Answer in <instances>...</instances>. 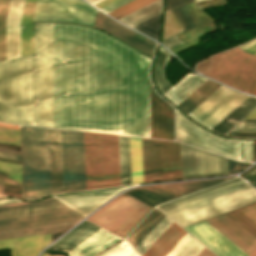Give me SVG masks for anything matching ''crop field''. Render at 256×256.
Wrapping results in <instances>:
<instances>
[{"label": "crop field", "instance_id": "crop-field-15", "mask_svg": "<svg viewBox=\"0 0 256 256\" xmlns=\"http://www.w3.org/2000/svg\"><path fill=\"white\" fill-rule=\"evenodd\" d=\"M184 230L218 256H248L205 221Z\"/></svg>", "mask_w": 256, "mask_h": 256}, {"label": "crop field", "instance_id": "crop-field-27", "mask_svg": "<svg viewBox=\"0 0 256 256\" xmlns=\"http://www.w3.org/2000/svg\"><path fill=\"white\" fill-rule=\"evenodd\" d=\"M205 81L195 74H188L164 95L177 105Z\"/></svg>", "mask_w": 256, "mask_h": 256}, {"label": "crop field", "instance_id": "crop-field-44", "mask_svg": "<svg viewBox=\"0 0 256 256\" xmlns=\"http://www.w3.org/2000/svg\"><path fill=\"white\" fill-rule=\"evenodd\" d=\"M71 227H73V226L62 227V228H53V229H45V230H37V231H30V232H22V233L10 234V235H4V236H0V240L16 238V237H22V236H29V235H38V234L62 232V231L69 230Z\"/></svg>", "mask_w": 256, "mask_h": 256}, {"label": "crop field", "instance_id": "crop-field-68", "mask_svg": "<svg viewBox=\"0 0 256 256\" xmlns=\"http://www.w3.org/2000/svg\"><path fill=\"white\" fill-rule=\"evenodd\" d=\"M256 158V141H253V160Z\"/></svg>", "mask_w": 256, "mask_h": 256}, {"label": "crop field", "instance_id": "crop-field-54", "mask_svg": "<svg viewBox=\"0 0 256 256\" xmlns=\"http://www.w3.org/2000/svg\"><path fill=\"white\" fill-rule=\"evenodd\" d=\"M193 1L194 0H165V3H166V8H170V7L182 5V4L193 2Z\"/></svg>", "mask_w": 256, "mask_h": 256}, {"label": "crop field", "instance_id": "crop-field-41", "mask_svg": "<svg viewBox=\"0 0 256 256\" xmlns=\"http://www.w3.org/2000/svg\"><path fill=\"white\" fill-rule=\"evenodd\" d=\"M152 1H154V0H134L118 9L108 13V15L118 19V18L152 2Z\"/></svg>", "mask_w": 256, "mask_h": 256}, {"label": "crop field", "instance_id": "crop-field-46", "mask_svg": "<svg viewBox=\"0 0 256 256\" xmlns=\"http://www.w3.org/2000/svg\"><path fill=\"white\" fill-rule=\"evenodd\" d=\"M203 247V245L193 238L177 256H196Z\"/></svg>", "mask_w": 256, "mask_h": 256}, {"label": "crop field", "instance_id": "crop-field-4", "mask_svg": "<svg viewBox=\"0 0 256 256\" xmlns=\"http://www.w3.org/2000/svg\"><path fill=\"white\" fill-rule=\"evenodd\" d=\"M26 199L50 194L47 129L21 127Z\"/></svg>", "mask_w": 256, "mask_h": 256}, {"label": "crop field", "instance_id": "crop-field-24", "mask_svg": "<svg viewBox=\"0 0 256 256\" xmlns=\"http://www.w3.org/2000/svg\"><path fill=\"white\" fill-rule=\"evenodd\" d=\"M37 0H25L20 22L21 56L33 54V18Z\"/></svg>", "mask_w": 256, "mask_h": 256}, {"label": "crop field", "instance_id": "crop-field-1", "mask_svg": "<svg viewBox=\"0 0 256 256\" xmlns=\"http://www.w3.org/2000/svg\"><path fill=\"white\" fill-rule=\"evenodd\" d=\"M52 40L55 128L149 137L151 59L80 25L52 23ZM52 40L35 23V59L0 61L1 121L54 128Z\"/></svg>", "mask_w": 256, "mask_h": 256}, {"label": "crop field", "instance_id": "crop-field-20", "mask_svg": "<svg viewBox=\"0 0 256 256\" xmlns=\"http://www.w3.org/2000/svg\"><path fill=\"white\" fill-rule=\"evenodd\" d=\"M51 194L63 192L60 130L48 129Z\"/></svg>", "mask_w": 256, "mask_h": 256}, {"label": "crop field", "instance_id": "crop-field-60", "mask_svg": "<svg viewBox=\"0 0 256 256\" xmlns=\"http://www.w3.org/2000/svg\"><path fill=\"white\" fill-rule=\"evenodd\" d=\"M161 10H162V9H160V10H158V11H156V12H154V13H152V14H150V15H148V16H146V17H144V18H142V19H140V20H138V21H136V22H134V23L128 25V26L132 27V26H134V25H136V24H138V23H140V22H142V21H144V20H146V19H148V18H150V17H152V16H154V15L160 13Z\"/></svg>", "mask_w": 256, "mask_h": 256}, {"label": "crop field", "instance_id": "crop-field-11", "mask_svg": "<svg viewBox=\"0 0 256 256\" xmlns=\"http://www.w3.org/2000/svg\"><path fill=\"white\" fill-rule=\"evenodd\" d=\"M96 9L82 0H38L34 20L77 22L93 26Z\"/></svg>", "mask_w": 256, "mask_h": 256}, {"label": "crop field", "instance_id": "crop-field-14", "mask_svg": "<svg viewBox=\"0 0 256 256\" xmlns=\"http://www.w3.org/2000/svg\"><path fill=\"white\" fill-rule=\"evenodd\" d=\"M150 137L174 140L173 108L163 101L149 82Z\"/></svg>", "mask_w": 256, "mask_h": 256}, {"label": "crop field", "instance_id": "crop-field-21", "mask_svg": "<svg viewBox=\"0 0 256 256\" xmlns=\"http://www.w3.org/2000/svg\"><path fill=\"white\" fill-rule=\"evenodd\" d=\"M162 180L182 178L180 144L160 140Z\"/></svg>", "mask_w": 256, "mask_h": 256}, {"label": "crop field", "instance_id": "crop-field-5", "mask_svg": "<svg viewBox=\"0 0 256 256\" xmlns=\"http://www.w3.org/2000/svg\"><path fill=\"white\" fill-rule=\"evenodd\" d=\"M87 189L120 185L118 136L83 133Z\"/></svg>", "mask_w": 256, "mask_h": 256}, {"label": "crop field", "instance_id": "crop-field-35", "mask_svg": "<svg viewBox=\"0 0 256 256\" xmlns=\"http://www.w3.org/2000/svg\"><path fill=\"white\" fill-rule=\"evenodd\" d=\"M167 217V216H166ZM165 216L158 224L143 238V240L135 247L142 255L146 249L156 240V238L167 228L172 222Z\"/></svg>", "mask_w": 256, "mask_h": 256}, {"label": "crop field", "instance_id": "crop-field-12", "mask_svg": "<svg viewBox=\"0 0 256 256\" xmlns=\"http://www.w3.org/2000/svg\"><path fill=\"white\" fill-rule=\"evenodd\" d=\"M247 97L221 86L188 115L211 129Z\"/></svg>", "mask_w": 256, "mask_h": 256}, {"label": "crop field", "instance_id": "crop-field-37", "mask_svg": "<svg viewBox=\"0 0 256 256\" xmlns=\"http://www.w3.org/2000/svg\"><path fill=\"white\" fill-rule=\"evenodd\" d=\"M185 31L184 27L175 18L169 9L165 10V23L162 40Z\"/></svg>", "mask_w": 256, "mask_h": 256}, {"label": "crop field", "instance_id": "crop-field-59", "mask_svg": "<svg viewBox=\"0 0 256 256\" xmlns=\"http://www.w3.org/2000/svg\"><path fill=\"white\" fill-rule=\"evenodd\" d=\"M0 157L20 161V155L0 152Z\"/></svg>", "mask_w": 256, "mask_h": 256}, {"label": "crop field", "instance_id": "crop-field-8", "mask_svg": "<svg viewBox=\"0 0 256 256\" xmlns=\"http://www.w3.org/2000/svg\"><path fill=\"white\" fill-rule=\"evenodd\" d=\"M99 227L84 221L67 235L63 236L47 250L69 251ZM118 236L100 228L71 251L68 256H94L113 243L120 240Z\"/></svg>", "mask_w": 256, "mask_h": 256}, {"label": "crop field", "instance_id": "crop-field-64", "mask_svg": "<svg viewBox=\"0 0 256 256\" xmlns=\"http://www.w3.org/2000/svg\"><path fill=\"white\" fill-rule=\"evenodd\" d=\"M245 51L249 52V53H252V54H255L256 52V43L253 44L251 47H249L248 49H246Z\"/></svg>", "mask_w": 256, "mask_h": 256}, {"label": "crop field", "instance_id": "crop-field-55", "mask_svg": "<svg viewBox=\"0 0 256 256\" xmlns=\"http://www.w3.org/2000/svg\"><path fill=\"white\" fill-rule=\"evenodd\" d=\"M172 13L176 16V18L181 22V24L185 27L186 30L190 29L185 19L183 18L181 12L178 7L171 9Z\"/></svg>", "mask_w": 256, "mask_h": 256}, {"label": "crop field", "instance_id": "crop-field-76", "mask_svg": "<svg viewBox=\"0 0 256 256\" xmlns=\"http://www.w3.org/2000/svg\"><path fill=\"white\" fill-rule=\"evenodd\" d=\"M1 188H2V185H0V197H7L6 195L1 193Z\"/></svg>", "mask_w": 256, "mask_h": 256}, {"label": "crop field", "instance_id": "crop-field-61", "mask_svg": "<svg viewBox=\"0 0 256 256\" xmlns=\"http://www.w3.org/2000/svg\"><path fill=\"white\" fill-rule=\"evenodd\" d=\"M115 1H117V0H104V1L96 4L95 6H97V7H99L101 9V8L107 6V5H109V4H111V3L115 2Z\"/></svg>", "mask_w": 256, "mask_h": 256}, {"label": "crop field", "instance_id": "crop-field-40", "mask_svg": "<svg viewBox=\"0 0 256 256\" xmlns=\"http://www.w3.org/2000/svg\"><path fill=\"white\" fill-rule=\"evenodd\" d=\"M99 256H138L129 243L124 240Z\"/></svg>", "mask_w": 256, "mask_h": 256}, {"label": "crop field", "instance_id": "crop-field-34", "mask_svg": "<svg viewBox=\"0 0 256 256\" xmlns=\"http://www.w3.org/2000/svg\"><path fill=\"white\" fill-rule=\"evenodd\" d=\"M229 178H231V177H229ZM229 178L164 184V186L184 195V194H187V193L196 191L198 189L213 185L215 183L221 182V181L229 179Z\"/></svg>", "mask_w": 256, "mask_h": 256}, {"label": "crop field", "instance_id": "crop-field-19", "mask_svg": "<svg viewBox=\"0 0 256 256\" xmlns=\"http://www.w3.org/2000/svg\"><path fill=\"white\" fill-rule=\"evenodd\" d=\"M24 0H11L6 21V59L20 56L19 22Z\"/></svg>", "mask_w": 256, "mask_h": 256}, {"label": "crop field", "instance_id": "crop-field-10", "mask_svg": "<svg viewBox=\"0 0 256 256\" xmlns=\"http://www.w3.org/2000/svg\"><path fill=\"white\" fill-rule=\"evenodd\" d=\"M64 192L86 189L82 133L61 130Z\"/></svg>", "mask_w": 256, "mask_h": 256}, {"label": "crop field", "instance_id": "crop-field-69", "mask_svg": "<svg viewBox=\"0 0 256 256\" xmlns=\"http://www.w3.org/2000/svg\"><path fill=\"white\" fill-rule=\"evenodd\" d=\"M248 183L251 184L254 188H256V176L252 178Z\"/></svg>", "mask_w": 256, "mask_h": 256}, {"label": "crop field", "instance_id": "crop-field-63", "mask_svg": "<svg viewBox=\"0 0 256 256\" xmlns=\"http://www.w3.org/2000/svg\"><path fill=\"white\" fill-rule=\"evenodd\" d=\"M0 127H6V128H11V129H17V130H19V126L10 125V124H5V123H0Z\"/></svg>", "mask_w": 256, "mask_h": 256}, {"label": "crop field", "instance_id": "crop-field-45", "mask_svg": "<svg viewBox=\"0 0 256 256\" xmlns=\"http://www.w3.org/2000/svg\"><path fill=\"white\" fill-rule=\"evenodd\" d=\"M0 143L20 145L19 131L0 128Z\"/></svg>", "mask_w": 256, "mask_h": 256}, {"label": "crop field", "instance_id": "crop-field-3", "mask_svg": "<svg viewBox=\"0 0 256 256\" xmlns=\"http://www.w3.org/2000/svg\"><path fill=\"white\" fill-rule=\"evenodd\" d=\"M81 215L55 199L0 206V235L75 225Z\"/></svg>", "mask_w": 256, "mask_h": 256}, {"label": "crop field", "instance_id": "crop-field-62", "mask_svg": "<svg viewBox=\"0 0 256 256\" xmlns=\"http://www.w3.org/2000/svg\"><path fill=\"white\" fill-rule=\"evenodd\" d=\"M197 256H215L213 255L209 250H207L205 247L199 252Z\"/></svg>", "mask_w": 256, "mask_h": 256}, {"label": "crop field", "instance_id": "crop-field-52", "mask_svg": "<svg viewBox=\"0 0 256 256\" xmlns=\"http://www.w3.org/2000/svg\"><path fill=\"white\" fill-rule=\"evenodd\" d=\"M191 5H192L200 23L210 21V20H214L209 15H207V14L201 12V11H198V9L196 8L194 3H192Z\"/></svg>", "mask_w": 256, "mask_h": 256}, {"label": "crop field", "instance_id": "crop-field-36", "mask_svg": "<svg viewBox=\"0 0 256 256\" xmlns=\"http://www.w3.org/2000/svg\"><path fill=\"white\" fill-rule=\"evenodd\" d=\"M160 22H161V13L132 28L158 40Z\"/></svg>", "mask_w": 256, "mask_h": 256}, {"label": "crop field", "instance_id": "crop-field-30", "mask_svg": "<svg viewBox=\"0 0 256 256\" xmlns=\"http://www.w3.org/2000/svg\"><path fill=\"white\" fill-rule=\"evenodd\" d=\"M170 57L171 55L160 47L153 66V76L155 83L162 94H164L172 87V85L165 78V68L169 62Z\"/></svg>", "mask_w": 256, "mask_h": 256}, {"label": "crop field", "instance_id": "crop-field-77", "mask_svg": "<svg viewBox=\"0 0 256 256\" xmlns=\"http://www.w3.org/2000/svg\"><path fill=\"white\" fill-rule=\"evenodd\" d=\"M250 256H256V248L254 249V251L252 252V254Z\"/></svg>", "mask_w": 256, "mask_h": 256}, {"label": "crop field", "instance_id": "crop-field-43", "mask_svg": "<svg viewBox=\"0 0 256 256\" xmlns=\"http://www.w3.org/2000/svg\"><path fill=\"white\" fill-rule=\"evenodd\" d=\"M0 170L9 174L8 178H11L21 183V165L14 163L0 162Z\"/></svg>", "mask_w": 256, "mask_h": 256}, {"label": "crop field", "instance_id": "crop-field-17", "mask_svg": "<svg viewBox=\"0 0 256 256\" xmlns=\"http://www.w3.org/2000/svg\"><path fill=\"white\" fill-rule=\"evenodd\" d=\"M95 27L120 38L121 40L135 47L136 49L144 52L149 56H152L155 45L154 42L126 29L122 25L111 20L100 12H98L97 14Z\"/></svg>", "mask_w": 256, "mask_h": 256}, {"label": "crop field", "instance_id": "crop-field-66", "mask_svg": "<svg viewBox=\"0 0 256 256\" xmlns=\"http://www.w3.org/2000/svg\"><path fill=\"white\" fill-rule=\"evenodd\" d=\"M15 201H20V200H17V199H3V200H0V205L15 202Z\"/></svg>", "mask_w": 256, "mask_h": 256}, {"label": "crop field", "instance_id": "crop-field-72", "mask_svg": "<svg viewBox=\"0 0 256 256\" xmlns=\"http://www.w3.org/2000/svg\"><path fill=\"white\" fill-rule=\"evenodd\" d=\"M246 118H256V109L251 112Z\"/></svg>", "mask_w": 256, "mask_h": 256}, {"label": "crop field", "instance_id": "crop-field-78", "mask_svg": "<svg viewBox=\"0 0 256 256\" xmlns=\"http://www.w3.org/2000/svg\"><path fill=\"white\" fill-rule=\"evenodd\" d=\"M0 178H1V179H8V178L2 177V176H0ZM9 180H10V179H9Z\"/></svg>", "mask_w": 256, "mask_h": 256}, {"label": "crop field", "instance_id": "crop-field-7", "mask_svg": "<svg viewBox=\"0 0 256 256\" xmlns=\"http://www.w3.org/2000/svg\"><path fill=\"white\" fill-rule=\"evenodd\" d=\"M150 209L151 207L123 193L88 219L124 237Z\"/></svg>", "mask_w": 256, "mask_h": 256}, {"label": "crop field", "instance_id": "crop-field-57", "mask_svg": "<svg viewBox=\"0 0 256 256\" xmlns=\"http://www.w3.org/2000/svg\"><path fill=\"white\" fill-rule=\"evenodd\" d=\"M161 43H163L168 49H170L182 42L174 36V37L169 38Z\"/></svg>", "mask_w": 256, "mask_h": 256}, {"label": "crop field", "instance_id": "crop-field-2", "mask_svg": "<svg viewBox=\"0 0 256 256\" xmlns=\"http://www.w3.org/2000/svg\"><path fill=\"white\" fill-rule=\"evenodd\" d=\"M256 201V191L240 178L158 207L186 227Z\"/></svg>", "mask_w": 256, "mask_h": 256}, {"label": "crop field", "instance_id": "crop-field-33", "mask_svg": "<svg viewBox=\"0 0 256 256\" xmlns=\"http://www.w3.org/2000/svg\"><path fill=\"white\" fill-rule=\"evenodd\" d=\"M121 185L131 184L129 137L119 136Z\"/></svg>", "mask_w": 256, "mask_h": 256}, {"label": "crop field", "instance_id": "crop-field-13", "mask_svg": "<svg viewBox=\"0 0 256 256\" xmlns=\"http://www.w3.org/2000/svg\"><path fill=\"white\" fill-rule=\"evenodd\" d=\"M183 178L227 173V158L181 144Z\"/></svg>", "mask_w": 256, "mask_h": 256}, {"label": "crop field", "instance_id": "crop-field-75", "mask_svg": "<svg viewBox=\"0 0 256 256\" xmlns=\"http://www.w3.org/2000/svg\"><path fill=\"white\" fill-rule=\"evenodd\" d=\"M42 256H63V255H50L43 252Z\"/></svg>", "mask_w": 256, "mask_h": 256}, {"label": "crop field", "instance_id": "crop-field-53", "mask_svg": "<svg viewBox=\"0 0 256 256\" xmlns=\"http://www.w3.org/2000/svg\"><path fill=\"white\" fill-rule=\"evenodd\" d=\"M130 1H132V0H119V1H117V2L107 6V7L103 8V9H101V10L106 12V13H108V12H110V11H112V10H114V9H116V8L126 4L128 2H130Z\"/></svg>", "mask_w": 256, "mask_h": 256}, {"label": "crop field", "instance_id": "crop-field-48", "mask_svg": "<svg viewBox=\"0 0 256 256\" xmlns=\"http://www.w3.org/2000/svg\"><path fill=\"white\" fill-rule=\"evenodd\" d=\"M232 130H250L256 131V119H243Z\"/></svg>", "mask_w": 256, "mask_h": 256}, {"label": "crop field", "instance_id": "crop-field-16", "mask_svg": "<svg viewBox=\"0 0 256 256\" xmlns=\"http://www.w3.org/2000/svg\"><path fill=\"white\" fill-rule=\"evenodd\" d=\"M126 188L128 187L56 195L54 197L86 217L111 197L115 196Z\"/></svg>", "mask_w": 256, "mask_h": 256}, {"label": "crop field", "instance_id": "crop-field-67", "mask_svg": "<svg viewBox=\"0 0 256 256\" xmlns=\"http://www.w3.org/2000/svg\"><path fill=\"white\" fill-rule=\"evenodd\" d=\"M0 151H5V152H11V153H17V154H20V151L11 150V149H3V148H0Z\"/></svg>", "mask_w": 256, "mask_h": 256}, {"label": "crop field", "instance_id": "crop-field-39", "mask_svg": "<svg viewBox=\"0 0 256 256\" xmlns=\"http://www.w3.org/2000/svg\"><path fill=\"white\" fill-rule=\"evenodd\" d=\"M10 0H0V60L5 59V21Z\"/></svg>", "mask_w": 256, "mask_h": 256}, {"label": "crop field", "instance_id": "crop-field-79", "mask_svg": "<svg viewBox=\"0 0 256 256\" xmlns=\"http://www.w3.org/2000/svg\"><path fill=\"white\" fill-rule=\"evenodd\" d=\"M255 95H256V90H255V93H254Z\"/></svg>", "mask_w": 256, "mask_h": 256}, {"label": "crop field", "instance_id": "crop-field-74", "mask_svg": "<svg viewBox=\"0 0 256 256\" xmlns=\"http://www.w3.org/2000/svg\"><path fill=\"white\" fill-rule=\"evenodd\" d=\"M90 3H92L93 5L102 1V0H88Z\"/></svg>", "mask_w": 256, "mask_h": 256}, {"label": "crop field", "instance_id": "crop-field-9", "mask_svg": "<svg viewBox=\"0 0 256 256\" xmlns=\"http://www.w3.org/2000/svg\"><path fill=\"white\" fill-rule=\"evenodd\" d=\"M176 139L223 156L241 160L240 140L219 137L193 125L175 110ZM179 141V142H180ZM194 146V147H195Z\"/></svg>", "mask_w": 256, "mask_h": 256}, {"label": "crop field", "instance_id": "crop-field-70", "mask_svg": "<svg viewBox=\"0 0 256 256\" xmlns=\"http://www.w3.org/2000/svg\"><path fill=\"white\" fill-rule=\"evenodd\" d=\"M0 183H7V184L19 185V184H17V183H15V182H13V181H9V180H1V179H0Z\"/></svg>", "mask_w": 256, "mask_h": 256}, {"label": "crop field", "instance_id": "crop-field-65", "mask_svg": "<svg viewBox=\"0 0 256 256\" xmlns=\"http://www.w3.org/2000/svg\"><path fill=\"white\" fill-rule=\"evenodd\" d=\"M9 248L8 240L0 241V249Z\"/></svg>", "mask_w": 256, "mask_h": 256}, {"label": "crop field", "instance_id": "crop-field-23", "mask_svg": "<svg viewBox=\"0 0 256 256\" xmlns=\"http://www.w3.org/2000/svg\"><path fill=\"white\" fill-rule=\"evenodd\" d=\"M186 233L172 222L142 256H165Z\"/></svg>", "mask_w": 256, "mask_h": 256}, {"label": "crop field", "instance_id": "crop-field-25", "mask_svg": "<svg viewBox=\"0 0 256 256\" xmlns=\"http://www.w3.org/2000/svg\"><path fill=\"white\" fill-rule=\"evenodd\" d=\"M125 193L150 206L180 196L161 185L135 188Z\"/></svg>", "mask_w": 256, "mask_h": 256}, {"label": "crop field", "instance_id": "crop-field-50", "mask_svg": "<svg viewBox=\"0 0 256 256\" xmlns=\"http://www.w3.org/2000/svg\"><path fill=\"white\" fill-rule=\"evenodd\" d=\"M238 210L256 224V203Z\"/></svg>", "mask_w": 256, "mask_h": 256}, {"label": "crop field", "instance_id": "crop-field-56", "mask_svg": "<svg viewBox=\"0 0 256 256\" xmlns=\"http://www.w3.org/2000/svg\"><path fill=\"white\" fill-rule=\"evenodd\" d=\"M180 11L182 12L183 16L185 17L187 23L189 24L190 28L194 27V23L190 17V14L185 5L179 6Z\"/></svg>", "mask_w": 256, "mask_h": 256}, {"label": "crop field", "instance_id": "crop-field-22", "mask_svg": "<svg viewBox=\"0 0 256 256\" xmlns=\"http://www.w3.org/2000/svg\"><path fill=\"white\" fill-rule=\"evenodd\" d=\"M144 182L161 180L159 140L142 138Z\"/></svg>", "mask_w": 256, "mask_h": 256}, {"label": "crop field", "instance_id": "crop-field-26", "mask_svg": "<svg viewBox=\"0 0 256 256\" xmlns=\"http://www.w3.org/2000/svg\"><path fill=\"white\" fill-rule=\"evenodd\" d=\"M254 108H256V98L249 96L223 120H221L215 127H213L212 130L221 134H225Z\"/></svg>", "mask_w": 256, "mask_h": 256}, {"label": "crop field", "instance_id": "crop-field-38", "mask_svg": "<svg viewBox=\"0 0 256 256\" xmlns=\"http://www.w3.org/2000/svg\"><path fill=\"white\" fill-rule=\"evenodd\" d=\"M161 7H162V0H156V1L148 4L140 9L118 19V20L127 25V24L161 8Z\"/></svg>", "mask_w": 256, "mask_h": 256}, {"label": "crop field", "instance_id": "crop-field-42", "mask_svg": "<svg viewBox=\"0 0 256 256\" xmlns=\"http://www.w3.org/2000/svg\"><path fill=\"white\" fill-rule=\"evenodd\" d=\"M238 211L235 210L226 213V215H228L230 218H232L234 221H236L238 224H240L243 228H245L247 231H249L256 237V225Z\"/></svg>", "mask_w": 256, "mask_h": 256}, {"label": "crop field", "instance_id": "crop-field-49", "mask_svg": "<svg viewBox=\"0 0 256 256\" xmlns=\"http://www.w3.org/2000/svg\"><path fill=\"white\" fill-rule=\"evenodd\" d=\"M192 238L193 237L187 233L166 256H176Z\"/></svg>", "mask_w": 256, "mask_h": 256}, {"label": "crop field", "instance_id": "crop-field-6", "mask_svg": "<svg viewBox=\"0 0 256 256\" xmlns=\"http://www.w3.org/2000/svg\"><path fill=\"white\" fill-rule=\"evenodd\" d=\"M196 69L230 87L249 93L256 74V57L244 53L238 47L200 62Z\"/></svg>", "mask_w": 256, "mask_h": 256}, {"label": "crop field", "instance_id": "crop-field-71", "mask_svg": "<svg viewBox=\"0 0 256 256\" xmlns=\"http://www.w3.org/2000/svg\"><path fill=\"white\" fill-rule=\"evenodd\" d=\"M255 42H256V40H254V41H252V42H249V43H247V44L241 46V48L244 50V49H246L247 47H249L250 45H252V44L255 43ZM250 47H251V46H250ZM247 49H248V48H247Z\"/></svg>", "mask_w": 256, "mask_h": 256}, {"label": "crop field", "instance_id": "crop-field-18", "mask_svg": "<svg viewBox=\"0 0 256 256\" xmlns=\"http://www.w3.org/2000/svg\"><path fill=\"white\" fill-rule=\"evenodd\" d=\"M211 226L227 237L249 255L256 238L225 214L206 220Z\"/></svg>", "mask_w": 256, "mask_h": 256}, {"label": "crop field", "instance_id": "crop-field-73", "mask_svg": "<svg viewBox=\"0 0 256 256\" xmlns=\"http://www.w3.org/2000/svg\"><path fill=\"white\" fill-rule=\"evenodd\" d=\"M256 88V77H255V80H254V83H253V86H252V89H251V92L250 93H254V90Z\"/></svg>", "mask_w": 256, "mask_h": 256}, {"label": "crop field", "instance_id": "crop-field-58", "mask_svg": "<svg viewBox=\"0 0 256 256\" xmlns=\"http://www.w3.org/2000/svg\"><path fill=\"white\" fill-rule=\"evenodd\" d=\"M227 135L238 137H256V132H229Z\"/></svg>", "mask_w": 256, "mask_h": 256}, {"label": "crop field", "instance_id": "crop-field-28", "mask_svg": "<svg viewBox=\"0 0 256 256\" xmlns=\"http://www.w3.org/2000/svg\"><path fill=\"white\" fill-rule=\"evenodd\" d=\"M42 235L9 240L10 256H36L41 250Z\"/></svg>", "mask_w": 256, "mask_h": 256}, {"label": "crop field", "instance_id": "crop-field-32", "mask_svg": "<svg viewBox=\"0 0 256 256\" xmlns=\"http://www.w3.org/2000/svg\"><path fill=\"white\" fill-rule=\"evenodd\" d=\"M132 184L143 182L141 139L130 137Z\"/></svg>", "mask_w": 256, "mask_h": 256}, {"label": "crop field", "instance_id": "crop-field-29", "mask_svg": "<svg viewBox=\"0 0 256 256\" xmlns=\"http://www.w3.org/2000/svg\"><path fill=\"white\" fill-rule=\"evenodd\" d=\"M219 87L220 85L207 80L177 106L188 114Z\"/></svg>", "mask_w": 256, "mask_h": 256}, {"label": "crop field", "instance_id": "crop-field-31", "mask_svg": "<svg viewBox=\"0 0 256 256\" xmlns=\"http://www.w3.org/2000/svg\"><path fill=\"white\" fill-rule=\"evenodd\" d=\"M163 216L157 209H154L127 237V240L135 247Z\"/></svg>", "mask_w": 256, "mask_h": 256}, {"label": "crop field", "instance_id": "crop-field-51", "mask_svg": "<svg viewBox=\"0 0 256 256\" xmlns=\"http://www.w3.org/2000/svg\"><path fill=\"white\" fill-rule=\"evenodd\" d=\"M244 167H246L245 163L238 162L228 158V173L236 172Z\"/></svg>", "mask_w": 256, "mask_h": 256}, {"label": "crop field", "instance_id": "crop-field-47", "mask_svg": "<svg viewBox=\"0 0 256 256\" xmlns=\"http://www.w3.org/2000/svg\"><path fill=\"white\" fill-rule=\"evenodd\" d=\"M242 161H252V141L241 140Z\"/></svg>", "mask_w": 256, "mask_h": 256}]
</instances>
